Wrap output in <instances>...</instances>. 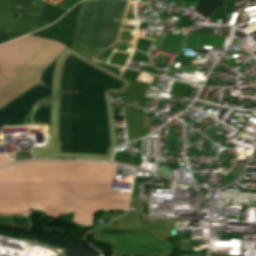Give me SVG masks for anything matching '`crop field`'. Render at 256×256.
Returning a JSON list of instances; mask_svg holds the SVG:
<instances>
[{"instance_id":"crop-field-9","label":"crop field","mask_w":256,"mask_h":256,"mask_svg":"<svg viewBox=\"0 0 256 256\" xmlns=\"http://www.w3.org/2000/svg\"><path fill=\"white\" fill-rule=\"evenodd\" d=\"M11 161L12 160H10V159H8L6 157L0 156V165L8 163V162H11Z\"/></svg>"},{"instance_id":"crop-field-7","label":"crop field","mask_w":256,"mask_h":256,"mask_svg":"<svg viewBox=\"0 0 256 256\" xmlns=\"http://www.w3.org/2000/svg\"><path fill=\"white\" fill-rule=\"evenodd\" d=\"M44 5L41 0H9L7 8L39 19Z\"/></svg>"},{"instance_id":"crop-field-3","label":"crop field","mask_w":256,"mask_h":256,"mask_svg":"<svg viewBox=\"0 0 256 256\" xmlns=\"http://www.w3.org/2000/svg\"><path fill=\"white\" fill-rule=\"evenodd\" d=\"M66 47L44 38L26 36L0 46V108L40 83L43 70Z\"/></svg>"},{"instance_id":"crop-field-2","label":"crop field","mask_w":256,"mask_h":256,"mask_svg":"<svg viewBox=\"0 0 256 256\" xmlns=\"http://www.w3.org/2000/svg\"><path fill=\"white\" fill-rule=\"evenodd\" d=\"M117 165L94 162H24L0 169V213L28 208L75 211L90 227L99 211H126L129 195L110 191Z\"/></svg>"},{"instance_id":"crop-field-6","label":"crop field","mask_w":256,"mask_h":256,"mask_svg":"<svg viewBox=\"0 0 256 256\" xmlns=\"http://www.w3.org/2000/svg\"><path fill=\"white\" fill-rule=\"evenodd\" d=\"M47 243L65 249L66 256H100V253L89 246L82 238L66 241L59 238H48Z\"/></svg>"},{"instance_id":"crop-field-1","label":"crop field","mask_w":256,"mask_h":256,"mask_svg":"<svg viewBox=\"0 0 256 256\" xmlns=\"http://www.w3.org/2000/svg\"><path fill=\"white\" fill-rule=\"evenodd\" d=\"M128 83L67 48L40 85L0 109V127L48 126L49 147L34 148L36 158L110 161L116 143L109 93Z\"/></svg>"},{"instance_id":"crop-field-5","label":"crop field","mask_w":256,"mask_h":256,"mask_svg":"<svg viewBox=\"0 0 256 256\" xmlns=\"http://www.w3.org/2000/svg\"><path fill=\"white\" fill-rule=\"evenodd\" d=\"M103 242L121 253L167 254L171 252L168 240L161 242L152 231L103 229Z\"/></svg>"},{"instance_id":"crop-field-4","label":"crop field","mask_w":256,"mask_h":256,"mask_svg":"<svg viewBox=\"0 0 256 256\" xmlns=\"http://www.w3.org/2000/svg\"><path fill=\"white\" fill-rule=\"evenodd\" d=\"M125 0L81 2L71 49L92 58L115 41L126 6Z\"/></svg>"},{"instance_id":"crop-field-8","label":"crop field","mask_w":256,"mask_h":256,"mask_svg":"<svg viewBox=\"0 0 256 256\" xmlns=\"http://www.w3.org/2000/svg\"><path fill=\"white\" fill-rule=\"evenodd\" d=\"M23 35L20 34H10V33H2L0 32V44L7 42L9 40L15 39Z\"/></svg>"}]
</instances>
